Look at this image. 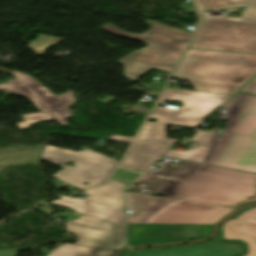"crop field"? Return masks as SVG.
Wrapping results in <instances>:
<instances>
[{
	"label": "crop field",
	"mask_w": 256,
	"mask_h": 256,
	"mask_svg": "<svg viewBox=\"0 0 256 256\" xmlns=\"http://www.w3.org/2000/svg\"><path fill=\"white\" fill-rule=\"evenodd\" d=\"M115 99H116V98L109 96V97H107L106 99L102 100V102L109 104V103H111L112 101H114ZM99 101H100V100H99Z\"/></svg>",
	"instance_id": "obj_27"
},
{
	"label": "crop field",
	"mask_w": 256,
	"mask_h": 256,
	"mask_svg": "<svg viewBox=\"0 0 256 256\" xmlns=\"http://www.w3.org/2000/svg\"><path fill=\"white\" fill-rule=\"evenodd\" d=\"M107 139L114 140V141H120V142H126V143H130V141L132 140V138H130V137H122V136H113V137H109Z\"/></svg>",
	"instance_id": "obj_25"
},
{
	"label": "crop field",
	"mask_w": 256,
	"mask_h": 256,
	"mask_svg": "<svg viewBox=\"0 0 256 256\" xmlns=\"http://www.w3.org/2000/svg\"><path fill=\"white\" fill-rule=\"evenodd\" d=\"M224 239L243 240L248 244L246 256H256V225L232 219L223 226Z\"/></svg>",
	"instance_id": "obj_17"
},
{
	"label": "crop field",
	"mask_w": 256,
	"mask_h": 256,
	"mask_svg": "<svg viewBox=\"0 0 256 256\" xmlns=\"http://www.w3.org/2000/svg\"><path fill=\"white\" fill-rule=\"evenodd\" d=\"M165 158L178 161L176 168L160 167L146 174L256 194V175L165 156L160 160Z\"/></svg>",
	"instance_id": "obj_9"
},
{
	"label": "crop field",
	"mask_w": 256,
	"mask_h": 256,
	"mask_svg": "<svg viewBox=\"0 0 256 256\" xmlns=\"http://www.w3.org/2000/svg\"><path fill=\"white\" fill-rule=\"evenodd\" d=\"M67 231L76 235V244L118 250L126 247L125 226L89 215L66 222Z\"/></svg>",
	"instance_id": "obj_11"
},
{
	"label": "crop field",
	"mask_w": 256,
	"mask_h": 256,
	"mask_svg": "<svg viewBox=\"0 0 256 256\" xmlns=\"http://www.w3.org/2000/svg\"><path fill=\"white\" fill-rule=\"evenodd\" d=\"M140 175L141 174L119 168V170L113 176V179L129 185L133 180L138 178Z\"/></svg>",
	"instance_id": "obj_21"
},
{
	"label": "crop field",
	"mask_w": 256,
	"mask_h": 256,
	"mask_svg": "<svg viewBox=\"0 0 256 256\" xmlns=\"http://www.w3.org/2000/svg\"><path fill=\"white\" fill-rule=\"evenodd\" d=\"M130 254H132V252H131V251H129V252H125V253H123L121 256H129Z\"/></svg>",
	"instance_id": "obj_28"
},
{
	"label": "crop field",
	"mask_w": 256,
	"mask_h": 256,
	"mask_svg": "<svg viewBox=\"0 0 256 256\" xmlns=\"http://www.w3.org/2000/svg\"><path fill=\"white\" fill-rule=\"evenodd\" d=\"M200 11L246 7L240 18L202 17L189 48L256 53V0H195Z\"/></svg>",
	"instance_id": "obj_3"
},
{
	"label": "crop field",
	"mask_w": 256,
	"mask_h": 256,
	"mask_svg": "<svg viewBox=\"0 0 256 256\" xmlns=\"http://www.w3.org/2000/svg\"><path fill=\"white\" fill-rule=\"evenodd\" d=\"M127 185L111 179L103 186L85 192L89 195L83 199L110 206L124 211L122 190Z\"/></svg>",
	"instance_id": "obj_16"
},
{
	"label": "crop field",
	"mask_w": 256,
	"mask_h": 256,
	"mask_svg": "<svg viewBox=\"0 0 256 256\" xmlns=\"http://www.w3.org/2000/svg\"><path fill=\"white\" fill-rule=\"evenodd\" d=\"M146 22L151 28L142 35L126 33L109 23L100 27L107 32L132 37L148 44V47L117 61L125 66L124 76L134 82L152 68L172 72L192 35L191 32L172 29L149 20Z\"/></svg>",
	"instance_id": "obj_4"
},
{
	"label": "crop field",
	"mask_w": 256,
	"mask_h": 256,
	"mask_svg": "<svg viewBox=\"0 0 256 256\" xmlns=\"http://www.w3.org/2000/svg\"><path fill=\"white\" fill-rule=\"evenodd\" d=\"M222 109L230 121L222 135L199 131L192 138L196 147L165 156L256 173V97L238 93Z\"/></svg>",
	"instance_id": "obj_1"
},
{
	"label": "crop field",
	"mask_w": 256,
	"mask_h": 256,
	"mask_svg": "<svg viewBox=\"0 0 256 256\" xmlns=\"http://www.w3.org/2000/svg\"><path fill=\"white\" fill-rule=\"evenodd\" d=\"M49 204L61 206L64 208L79 211L81 213L89 214L113 222L125 225L124 212L81 198H71L67 196L61 197V200H55Z\"/></svg>",
	"instance_id": "obj_14"
},
{
	"label": "crop field",
	"mask_w": 256,
	"mask_h": 256,
	"mask_svg": "<svg viewBox=\"0 0 256 256\" xmlns=\"http://www.w3.org/2000/svg\"><path fill=\"white\" fill-rule=\"evenodd\" d=\"M61 40V38L39 35L38 40L31 42L28 47L32 48L37 55H42L50 46L60 43Z\"/></svg>",
	"instance_id": "obj_20"
},
{
	"label": "crop field",
	"mask_w": 256,
	"mask_h": 256,
	"mask_svg": "<svg viewBox=\"0 0 256 256\" xmlns=\"http://www.w3.org/2000/svg\"><path fill=\"white\" fill-rule=\"evenodd\" d=\"M240 253H242L240 245L215 244L198 248L139 253L137 256H236Z\"/></svg>",
	"instance_id": "obj_15"
},
{
	"label": "crop field",
	"mask_w": 256,
	"mask_h": 256,
	"mask_svg": "<svg viewBox=\"0 0 256 256\" xmlns=\"http://www.w3.org/2000/svg\"><path fill=\"white\" fill-rule=\"evenodd\" d=\"M256 74V54L188 49L173 78L199 91L233 95Z\"/></svg>",
	"instance_id": "obj_2"
},
{
	"label": "crop field",
	"mask_w": 256,
	"mask_h": 256,
	"mask_svg": "<svg viewBox=\"0 0 256 256\" xmlns=\"http://www.w3.org/2000/svg\"><path fill=\"white\" fill-rule=\"evenodd\" d=\"M11 75L16 79L7 81V84H1L0 90L26 95L43 111L23 115L25 122L17 123L20 128H26L42 120H58L61 125H67L64 120L69 116L67 107L76 101L72 93L68 92L61 96H53L47 88L29 76L17 72H13Z\"/></svg>",
	"instance_id": "obj_10"
},
{
	"label": "crop field",
	"mask_w": 256,
	"mask_h": 256,
	"mask_svg": "<svg viewBox=\"0 0 256 256\" xmlns=\"http://www.w3.org/2000/svg\"><path fill=\"white\" fill-rule=\"evenodd\" d=\"M26 248L35 249V248H32V247H26ZM26 248L0 250V256H16L17 250L26 249ZM36 250L44 251L42 253L43 255H47L49 252H51V250H47V249H36Z\"/></svg>",
	"instance_id": "obj_23"
},
{
	"label": "crop field",
	"mask_w": 256,
	"mask_h": 256,
	"mask_svg": "<svg viewBox=\"0 0 256 256\" xmlns=\"http://www.w3.org/2000/svg\"><path fill=\"white\" fill-rule=\"evenodd\" d=\"M216 242H213L211 244H203V245H194V246H186V247H177V248H168V249H178V248H188V247H198V246H205V245H213ZM168 249H156V250H140V251H134L135 253L139 252H148V251H158V250H168Z\"/></svg>",
	"instance_id": "obj_26"
},
{
	"label": "crop field",
	"mask_w": 256,
	"mask_h": 256,
	"mask_svg": "<svg viewBox=\"0 0 256 256\" xmlns=\"http://www.w3.org/2000/svg\"><path fill=\"white\" fill-rule=\"evenodd\" d=\"M242 92L251 93L256 95V79L253 80Z\"/></svg>",
	"instance_id": "obj_24"
},
{
	"label": "crop field",
	"mask_w": 256,
	"mask_h": 256,
	"mask_svg": "<svg viewBox=\"0 0 256 256\" xmlns=\"http://www.w3.org/2000/svg\"><path fill=\"white\" fill-rule=\"evenodd\" d=\"M127 223L215 224L234 209L125 192Z\"/></svg>",
	"instance_id": "obj_5"
},
{
	"label": "crop field",
	"mask_w": 256,
	"mask_h": 256,
	"mask_svg": "<svg viewBox=\"0 0 256 256\" xmlns=\"http://www.w3.org/2000/svg\"><path fill=\"white\" fill-rule=\"evenodd\" d=\"M135 183L149 185L142 188L148 193L168 198L203 202L236 208L243 203L256 201V195L197 185L153 176H142ZM132 191L141 189L129 187Z\"/></svg>",
	"instance_id": "obj_7"
},
{
	"label": "crop field",
	"mask_w": 256,
	"mask_h": 256,
	"mask_svg": "<svg viewBox=\"0 0 256 256\" xmlns=\"http://www.w3.org/2000/svg\"><path fill=\"white\" fill-rule=\"evenodd\" d=\"M171 148L166 145L135 141L121 167L143 172Z\"/></svg>",
	"instance_id": "obj_13"
},
{
	"label": "crop field",
	"mask_w": 256,
	"mask_h": 256,
	"mask_svg": "<svg viewBox=\"0 0 256 256\" xmlns=\"http://www.w3.org/2000/svg\"><path fill=\"white\" fill-rule=\"evenodd\" d=\"M0 71L6 72V73L10 72V71L5 70V69H3V68H1V67H0Z\"/></svg>",
	"instance_id": "obj_29"
},
{
	"label": "crop field",
	"mask_w": 256,
	"mask_h": 256,
	"mask_svg": "<svg viewBox=\"0 0 256 256\" xmlns=\"http://www.w3.org/2000/svg\"><path fill=\"white\" fill-rule=\"evenodd\" d=\"M230 97L229 95L166 88L160 102H181L184 106L174 110L158 105L151 118L158 119V122L164 124L195 128Z\"/></svg>",
	"instance_id": "obj_8"
},
{
	"label": "crop field",
	"mask_w": 256,
	"mask_h": 256,
	"mask_svg": "<svg viewBox=\"0 0 256 256\" xmlns=\"http://www.w3.org/2000/svg\"><path fill=\"white\" fill-rule=\"evenodd\" d=\"M41 157L64 168L54 174V177L79 189L93 187L103 182L118 164V161L90 149L75 153L48 145ZM70 161L74 162V168L65 166Z\"/></svg>",
	"instance_id": "obj_6"
},
{
	"label": "crop field",
	"mask_w": 256,
	"mask_h": 256,
	"mask_svg": "<svg viewBox=\"0 0 256 256\" xmlns=\"http://www.w3.org/2000/svg\"><path fill=\"white\" fill-rule=\"evenodd\" d=\"M214 225L127 224L130 244L203 239L211 235Z\"/></svg>",
	"instance_id": "obj_12"
},
{
	"label": "crop field",
	"mask_w": 256,
	"mask_h": 256,
	"mask_svg": "<svg viewBox=\"0 0 256 256\" xmlns=\"http://www.w3.org/2000/svg\"><path fill=\"white\" fill-rule=\"evenodd\" d=\"M113 252L92 247L64 244L47 256H110Z\"/></svg>",
	"instance_id": "obj_18"
},
{
	"label": "crop field",
	"mask_w": 256,
	"mask_h": 256,
	"mask_svg": "<svg viewBox=\"0 0 256 256\" xmlns=\"http://www.w3.org/2000/svg\"><path fill=\"white\" fill-rule=\"evenodd\" d=\"M167 127L166 125L146 122L137 139L175 145L179 141L167 138Z\"/></svg>",
	"instance_id": "obj_19"
},
{
	"label": "crop field",
	"mask_w": 256,
	"mask_h": 256,
	"mask_svg": "<svg viewBox=\"0 0 256 256\" xmlns=\"http://www.w3.org/2000/svg\"><path fill=\"white\" fill-rule=\"evenodd\" d=\"M251 207H255V206H251ZM248 207V208H251ZM247 209V208H246ZM245 210V209H244ZM244 210L238 212L234 218H236L241 212H243ZM236 219H240V220H244V221H248L251 223H255L256 224V208L247 210L245 212H243L239 217H237Z\"/></svg>",
	"instance_id": "obj_22"
}]
</instances>
